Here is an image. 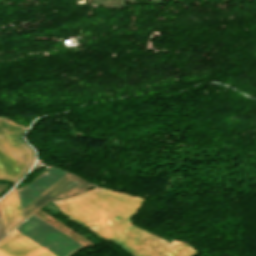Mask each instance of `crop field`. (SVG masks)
Masks as SVG:
<instances>
[{
	"label": "crop field",
	"mask_w": 256,
	"mask_h": 256,
	"mask_svg": "<svg viewBox=\"0 0 256 256\" xmlns=\"http://www.w3.org/2000/svg\"><path fill=\"white\" fill-rule=\"evenodd\" d=\"M15 229L58 256H65L80 245L34 214Z\"/></svg>",
	"instance_id": "obj_3"
},
{
	"label": "crop field",
	"mask_w": 256,
	"mask_h": 256,
	"mask_svg": "<svg viewBox=\"0 0 256 256\" xmlns=\"http://www.w3.org/2000/svg\"><path fill=\"white\" fill-rule=\"evenodd\" d=\"M0 209L6 233L23 221L15 188L0 200Z\"/></svg>",
	"instance_id": "obj_7"
},
{
	"label": "crop field",
	"mask_w": 256,
	"mask_h": 256,
	"mask_svg": "<svg viewBox=\"0 0 256 256\" xmlns=\"http://www.w3.org/2000/svg\"><path fill=\"white\" fill-rule=\"evenodd\" d=\"M24 130L25 127L0 117V178L17 182L31 166L34 152L21 138Z\"/></svg>",
	"instance_id": "obj_2"
},
{
	"label": "crop field",
	"mask_w": 256,
	"mask_h": 256,
	"mask_svg": "<svg viewBox=\"0 0 256 256\" xmlns=\"http://www.w3.org/2000/svg\"><path fill=\"white\" fill-rule=\"evenodd\" d=\"M0 250L10 256H56L15 229L0 240Z\"/></svg>",
	"instance_id": "obj_5"
},
{
	"label": "crop field",
	"mask_w": 256,
	"mask_h": 256,
	"mask_svg": "<svg viewBox=\"0 0 256 256\" xmlns=\"http://www.w3.org/2000/svg\"><path fill=\"white\" fill-rule=\"evenodd\" d=\"M0 256H8V255L0 251Z\"/></svg>",
	"instance_id": "obj_9"
},
{
	"label": "crop field",
	"mask_w": 256,
	"mask_h": 256,
	"mask_svg": "<svg viewBox=\"0 0 256 256\" xmlns=\"http://www.w3.org/2000/svg\"><path fill=\"white\" fill-rule=\"evenodd\" d=\"M143 201L136 196L96 187L53 202L68 218L118 245L131 256H193L197 253L187 243L176 240L168 243L130 225L131 217Z\"/></svg>",
	"instance_id": "obj_1"
},
{
	"label": "crop field",
	"mask_w": 256,
	"mask_h": 256,
	"mask_svg": "<svg viewBox=\"0 0 256 256\" xmlns=\"http://www.w3.org/2000/svg\"><path fill=\"white\" fill-rule=\"evenodd\" d=\"M5 235L4 227L2 223L1 213H0V238Z\"/></svg>",
	"instance_id": "obj_8"
},
{
	"label": "crop field",
	"mask_w": 256,
	"mask_h": 256,
	"mask_svg": "<svg viewBox=\"0 0 256 256\" xmlns=\"http://www.w3.org/2000/svg\"><path fill=\"white\" fill-rule=\"evenodd\" d=\"M95 185L85 182L69 173L60 178L52 186L37 196L29 204L22 208L23 216L26 219L45 202L51 199L65 197L74 193L82 192Z\"/></svg>",
	"instance_id": "obj_4"
},
{
	"label": "crop field",
	"mask_w": 256,
	"mask_h": 256,
	"mask_svg": "<svg viewBox=\"0 0 256 256\" xmlns=\"http://www.w3.org/2000/svg\"><path fill=\"white\" fill-rule=\"evenodd\" d=\"M64 174H66V172L53 167L47 170L43 175L18 193L21 207L29 203Z\"/></svg>",
	"instance_id": "obj_6"
}]
</instances>
